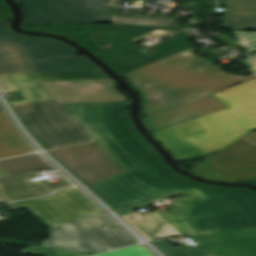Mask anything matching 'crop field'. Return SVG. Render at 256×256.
<instances>
[{
  "label": "crop field",
  "mask_w": 256,
  "mask_h": 256,
  "mask_svg": "<svg viewBox=\"0 0 256 256\" xmlns=\"http://www.w3.org/2000/svg\"><path fill=\"white\" fill-rule=\"evenodd\" d=\"M28 16L25 24L78 23L48 0L21 1Z\"/></svg>",
  "instance_id": "obj_16"
},
{
  "label": "crop field",
  "mask_w": 256,
  "mask_h": 256,
  "mask_svg": "<svg viewBox=\"0 0 256 256\" xmlns=\"http://www.w3.org/2000/svg\"><path fill=\"white\" fill-rule=\"evenodd\" d=\"M224 26L230 30H256V16H224ZM236 18V19H234Z\"/></svg>",
  "instance_id": "obj_22"
},
{
  "label": "crop field",
  "mask_w": 256,
  "mask_h": 256,
  "mask_svg": "<svg viewBox=\"0 0 256 256\" xmlns=\"http://www.w3.org/2000/svg\"><path fill=\"white\" fill-rule=\"evenodd\" d=\"M80 23L112 22L107 0H49Z\"/></svg>",
  "instance_id": "obj_15"
},
{
  "label": "crop field",
  "mask_w": 256,
  "mask_h": 256,
  "mask_svg": "<svg viewBox=\"0 0 256 256\" xmlns=\"http://www.w3.org/2000/svg\"><path fill=\"white\" fill-rule=\"evenodd\" d=\"M147 220L136 223L129 218L138 228L151 238L181 235L174 229L159 212H151L143 215Z\"/></svg>",
  "instance_id": "obj_19"
},
{
  "label": "crop field",
  "mask_w": 256,
  "mask_h": 256,
  "mask_svg": "<svg viewBox=\"0 0 256 256\" xmlns=\"http://www.w3.org/2000/svg\"><path fill=\"white\" fill-rule=\"evenodd\" d=\"M0 167L9 176L51 168L38 154L2 160Z\"/></svg>",
  "instance_id": "obj_18"
},
{
  "label": "crop field",
  "mask_w": 256,
  "mask_h": 256,
  "mask_svg": "<svg viewBox=\"0 0 256 256\" xmlns=\"http://www.w3.org/2000/svg\"><path fill=\"white\" fill-rule=\"evenodd\" d=\"M0 20V74L98 69L78 51L50 38L17 35Z\"/></svg>",
  "instance_id": "obj_5"
},
{
  "label": "crop field",
  "mask_w": 256,
  "mask_h": 256,
  "mask_svg": "<svg viewBox=\"0 0 256 256\" xmlns=\"http://www.w3.org/2000/svg\"><path fill=\"white\" fill-rule=\"evenodd\" d=\"M153 243H154L160 250L165 249V248L172 247V245H171L170 243H168L165 239L153 241Z\"/></svg>",
  "instance_id": "obj_31"
},
{
  "label": "crop field",
  "mask_w": 256,
  "mask_h": 256,
  "mask_svg": "<svg viewBox=\"0 0 256 256\" xmlns=\"http://www.w3.org/2000/svg\"><path fill=\"white\" fill-rule=\"evenodd\" d=\"M252 160H256V131L246 134L190 170L201 176L218 169L236 166Z\"/></svg>",
  "instance_id": "obj_13"
},
{
  "label": "crop field",
  "mask_w": 256,
  "mask_h": 256,
  "mask_svg": "<svg viewBox=\"0 0 256 256\" xmlns=\"http://www.w3.org/2000/svg\"><path fill=\"white\" fill-rule=\"evenodd\" d=\"M233 33L247 56L256 52V32L233 31Z\"/></svg>",
  "instance_id": "obj_25"
},
{
  "label": "crop field",
  "mask_w": 256,
  "mask_h": 256,
  "mask_svg": "<svg viewBox=\"0 0 256 256\" xmlns=\"http://www.w3.org/2000/svg\"><path fill=\"white\" fill-rule=\"evenodd\" d=\"M190 245L216 256H256V229L189 237Z\"/></svg>",
  "instance_id": "obj_11"
},
{
  "label": "crop field",
  "mask_w": 256,
  "mask_h": 256,
  "mask_svg": "<svg viewBox=\"0 0 256 256\" xmlns=\"http://www.w3.org/2000/svg\"><path fill=\"white\" fill-rule=\"evenodd\" d=\"M228 108L212 96L165 112L145 117L143 121L151 133Z\"/></svg>",
  "instance_id": "obj_12"
},
{
  "label": "crop field",
  "mask_w": 256,
  "mask_h": 256,
  "mask_svg": "<svg viewBox=\"0 0 256 256\" xmlns=\"http://www.w3.org/2000/svg\"><path fill=\"white\" fill-rule=\"evenodd\" d=\"M214 96L229 108L153 133L174 158L190 159L218 151L256 130L255 78Z\"/></svg>",
  "instance_id": "obj_3"
},
{
  "label": "crop field",
  "mask_w": 256,
  "mask_h": 256,
  "mask_svg": "<svg viewBox=\"0 0 256 256\" xmlns=\"http://www.w3.org/2000/svg\"><path fill=\"white\" fill-rule=\"evenodd\" d=\"M23 254H37V255H45V256H87L89 254L48 248V247H40L33 246L29 248L22 249Z\"/></svg>",
  "instance_id": "obj_24"
},
{
  "label": "crop field",
  "mask_w": 256,
  "mask_h": 256,
  "mask_svg": "<svg viewBox=\"0 0 256 256\" xmlns=\"http://www.w3.org/2000/svg\"><path fill=\"white\" fill-rule=\"evenodd\" d=\"M8 175L0 168V178L1 177H7ZM0 203H3V201L0 199Z\"/></svg>",
  "instance_id": "obj_32"
},
{
  "label": "crop field",
  "mask_w": 256,
  "mask_h": 256,
  "mask_svg": "<svg viewBox=\"0 0 256 256\" xmlns=\"http://www.w3.org/2000/svg\"><path fill=\"white\" fill-rule=\"evenodd\" d=\"M128 105V101L62 105L72 117L27 126L51 149L91 141L78 122L82 123L113 162L128 170L92 187L121 216L158 199L185 194L190 197L173 200L174 214L165 216L182 235L235 230L228 219L256 216L255 192L204 185L173 173L131 125Z\"/></svg>",
  "instance_id": "obj_1"
},
{
  "label": "crop field",
  "mask_w": 256,
  "mask_h": 256,
  "mask_svg": "<svg viewBox=\"0 0 256 256\" xmlns=\"http://www.w3.org/2000/svg\"><path fill=\"white\" fill-rule=\"evenodd\" d=\"M58 195L8 204L12 209L28 208L48 227L71 222L87 213H102L74 187L56 192Z\"/></svg>",
  "instance_id": "obj_8"
},
{
  "label": "crop field",
  "mask_w": 256,
  "mask_h": 256,
  "mask_svg": "<svg viewBox=\"0 0 256 256\" xmlns=\"http://www.w3.org/2000/svg\"><path fill=\"white\" fill-rule=\"evenodd\" d=\"M244 182H248V183H252V184H255L256 185V177L255 178H252V179H249V180H246Z\"/></svg>",
  "instance_id": "obj_33"
},
{
  "label": "crop field",
  "mask_w": 256,
  "mask_h": 256,
  "mask_svg": "<svg viewBox=\"0 0 256 256\" xmlns=\"http://www.w3.org/2000/svg\"><path fill=\"white\" fill-rule=\"evenodd\" d=\"M34 152L0 112V158Z\"/></svg>",
  "instance_id": "obj_17"
},
{
  "label": "crop field",
  "mask_w": 256,
  "mask_h": 256,
  "mask_svg": "<svg viewBox=\"0 0 256 256\" xmlns=\"http://www.w3.org/2000/svg\"><path fill=\"white\" fill-rule=\"evenodd\" d=\"M0 19H10V12L4 0H0Z\"/></svg>",
  "instance_id": "obj_30"
},
{
  "label": "crop field",
  "mask_w": 256,
  "mask_h": 256,
  "mask_svg": "<svg viewBox=\"0 0 256 256\" xmlns=\"http://www.w3.org/2000/svg\"><path fill=\"white\" fill-rule=\"evenodd\" d=\"M113 23L134 24V25H149L163 27H179L173 22V18H145V17H123L112 16ZM146 20V22H143Z\"/></svg>",
  "instance_id": "obj_21"
},
{
  "label": "crop field",
  "mask_w": 256,
  "mask_h": 256,
  "mask_svg": "<svg viewBox=\"0 0 256 256\" xmlns=\"http://www.w3.org/2000/svg\"><path fill=\"white\" fill-rule=\"evenodd\" d=\"M162 252H164L167 256H209L211 255L187 245L172 247L169 249L162 250Z\"/></svg>",
  "instance_id": "obj_26"
},
{
  "label": "crop field",
  "mask_w": 256,
  "mask_h": 256,
  "mask_svg": "<svg viewBox=\"0 0 256 256\" xmlns=\"http://www.w3.org/2000/svg\"><path fill=\"white\" fill-rule=\"evenodd\" d=\"M100 77H107V75L100 70L44 72L0 77V82L6 92L21 90L24 93L27 100L11 103L12 105H21L54 99L43 87H38L36 82Z\"/></svg>",
  "instance_id": "obj_10"
},
{
  "label": "crop field",
  "mask_w": 256,
  "mask_h": 256,
  "mask_svg": "<svg viewBox=\"0 0 256 256\" xmlns=\"http://www.w3.org/2000/svg\"><path fill=\"white\" fill-rule=\"evenodd\" d=\"M256 176V161L245 163L233 168H229L208 176L211 179L231 182H242Z\"/></svg>",
  "instance_id": "obj_20"
},
{
  "label": "crop field",
  "mask_w": 256,
  "mask_h": 256,
  "mask_svg": "<svg viewBox=\"0 0 256 256\" xmlns=\"http://www.w3.org/2000/svg\"><path fill=\"white\" fill-rule=\"evenodd\" d=\"M195 51L188 48L123 74L143 96L142 114H156L209 97L205 94L212 96L253 78L221 72L209 61L197 59ZM198 68L201 70H197Z\"/></svg>",
  "instance_id": "obj_2"
},
{
  "label": "crop field",
  "mask_w": 256,
  "mask_h": 256,
  "mask_svg": "<svg viewBox=\"0 0 256 256\" xmlns=\"http://www.w3.org/2000/svg\"><path fill=\"white\" fill-rule=\"evenodd\" d=\"M236 230L256 228V217L230 220Z\"/></svg>",
  "instance_id": "obj_28"
},
{
  "label": "crop field",
  "mask_w": 256,
  "mask_h": 256,
  "mask_svg": "<svg viewBox=\"0 0 256 256\" xmlns=\"http://www.w3.org/2000/svg\"><path fill=\"white\" fill-rule=\"evenodd\" d=\"M150 254L141 246L131 247L127 249L117 250L110 253H105L97 256H143Z\"/></svg>",
  "instance_id": "obj_27"
},
{
  "label": "crop field",
  "mask_w": 256,
  "mask_h": 256,
  "mask_svg": "<svg viewBox=\"0 0 256 256\" xmlns=\"http://www.w3.org/2000/svg\"><path fill=\"white\" fill-rule=\"evenodd\" d=\"M113 223L104 213L98 214L53 227L51 238L41 243L43 246L87 253L100 252L133 240L120 227L112 229L109 225ZM105 226L110 230L104 229Z\"/></svg>",
  "instance_id": "obj_7"
},
{
  "label": "crop field",
  "mask_w": 256,
  "mask_h": 256,
  "mask_svg": "<svg viewBox=\"0 0 256 256\" xmlns=\"http://www.w3.org/2000/svg\"><path fill=\"white\" fill-rule=\"evenodd\" d=\"M256 76V55L240 60Z\"/></svg>",
  "instance_id": "obj_29"
},
{
  "label": "crop field",
  "mask_w": 256,
  "mask_h": 256,
  "mask_svg": "<svg viewBox=\"0 0 256 256\" xmlns=\"http://www.w3.org/2000/svg\"><path fill=\"white\" fill-rule=\"evenodd\" d=\"M147 256H150V255H147Z\"/></svg>",
  "instance_id": "obj_34"
},
{
  "label": "crop field",
  "mask_w": 256,
  "mask_h": 256,
  "mask_svg": "<svg viewBox=\"0 0 256 256\" xmlns=\"http://www.w3.org/2000/svg\"><path fill=\"white\" fill-rule=\"evenodd\" d=\"M35 172L0 179V198L4 202L51 194L53 190L72 185L70 182L52 186L44 182L31 183ZM32 189H34L32 191Z\"/></svg>",
  "instance_id": "obj_14"
},
{
  "label": "crop field",
  "mask_w": 256,
  "mask_h": 256,
  "mask_svg": "<svg viewBox=\"0 0 256 256\" xmlns=\"http://www.w3.org/2000/svg\"><path fill=\"white\" fill-rule=\"evenodd\" d=\"M22 28L66 35L81 43L121 74L186 49L190 47L186 41L191 39L184 33L177 34L157 46L156 53L144 56L131 39L155 29L178 30L180 28L120 24L24 26Z\"/></svg>",
  "instance_id": "obj_4"
},
{
  "label": "crop field",
  "mask_w": 256,
  "mask_h": 256,
  "mask_svg": "<svg viewBox=\"0 0 256 256\" xmlns=\"http://www.w3.org/2000/svg\"><path fill=\"white\" fill-rule=\"evenodd\" d=\"M225 15H256V0H230Z\"/></svg>",
  "instance_id": "obj_23"
},
{
  "label": "crop field",
  "mask_w": 256,
  "mask_h": 256,
  "mask_svg": "<svg viewBox=\"0 0 256 256\" xmlns=\"http://www.w3.org/2000/svg\"><path fill=\"white\" fill-rule=\"evenodd\" d=\"M51 153L88 184L125 171L119 169L95 142Z\"/></svg>",
  "instance_id": "obj_9"
},
{
  "label": "crop field",
  "mask_w": 256,
  "mask_h": 256,
  "mask_svg": "<svg viewBox=\"0 0 256 256\" xmlns=\"http://www.w3.org/2000/svg\"><path fill=\"white\" fill-rule=\"evenodd\" d=\"M55 100L13 106L25 124L69 117L60 104L128 100L113 85L112 79L37 83Z\"/></svg>",
  "instance_id": "obj_6"
}]
</instances>
